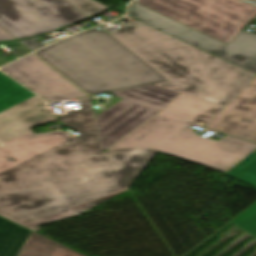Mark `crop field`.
<instances>
[{"label":"crop field","instance_id":"obj_12","mask_svg":"<svg viewBox=\"0 0 256 256\" xmlns=\"http://www.w3.org/2000/svg\"><path fill=\"white\" fill-rule=\"evenodd\" d=\"M29 233L30 230L0 217V256H17Z\"/></svg>","mask_w":256,"mask_h":256},{"label":"crop field","instance_id":"obj_2","mask_svg":"<svg viewBox=\"0 0 256 256\" xmlns=\"http://www.w3.org/2000/svg\"><path fill=\"white\" fill-rule=\"evenodd\" d=\"M109 35L169 80L154 85L220 107L256 77L138 21Z\"/></svg>","mask_w":256,"mask_h":256},{"label":"crop field","instance_id":"obj_17","mask_svg":"<svg viewBox=\"0 0 256 256\" xmlns=\"http://www.w3.org/2000/svg\"><path fill=\"white\" fill-rule=\"evenodd\" d=\"M19 42H21L24 46H26L31 51L44 46L37 42V38H32L26 41H19Z\"/></svg>","mask_w":256,"mask_h":256},{"label":"crop field","instance_id":"obj_1","mask_svg":"<svg viewBox=\"0 0 256 256\" xmlns=\"http://www.w3.org/2000/svg\"><path fill=\"white\" fill-rule=\"evenodd\" d=\"M58 116L79 137L28 127L55 121L45 102L0 72V216L28 229L79 214L74 205L126 189L154 149L102 153L90 97Z\"/></svg>","mask_w":256,"mask_h":256},{"label":"crop field","instance_id":"obj_5","mask_svg":"<svg viewBox=\"0 0 256 256\" xmlns=\"http://www.w3.org/2000/svg\"><path fill=\"white\" fill-rule=\"evenodd\" d=\"M135 3L227 44L255 15L240 0H136Z\"/></svg>","mask_w":256,"mask_h":256},{"label":"crop field","instance_id":"obj_4","mask_svg":"<svg viewBox=\"0 0 256 256\" xmlns=\"http://www.w3.org/2000/svg\"><path fill=\"white\" fill-rule=\"evenodd\" d=\"M35 54L90 95L167 80L105 31L96 28Z\"/></svg>","mask_w":256,"mask_h":256},{"label":"crop field","instance_id":"obj_10","mask_svg":"<svg viewBox=\"0 0 256 256\" xmlns=\"http://www.w3.org/2000/svg\"><path fill=\"white\" fill-rule=\"evenodd\" d=\"M205 128L256 142V78Z\"/></svg>","mask_w":256,"mask_h":256},{"label":"crop field","instance_id":"obj_16","mask_svg":"<svg viewBox=\"0 0 256 256\" xmlns=\"http://www.w3.org/2000/svg\"><path fill=\"white\" fill-rule=\"evenodd\" d=\"M115 194H117V193H115ZM115 194H112V195H109V196H106V197H103V198H99V199H96V200H93V201H89V202H86V203H83V204L76 205V208L81 213V212H83V211H85V210L95 206L96 204H98V203H100V202H102V201L112 197Z\"/></svg>","mask_w":256,"mask_h":256},{"label":"crop field","instance_id":"obj_19","mask_svg":"<svg viewBox=\"0 0 256 256\" xmlns=\"http://www.w3.org/2000/svg\"><path fill=\"white\" fill-rule=\"evenodd\" d=\"M249 1H252V2H255V3H256V0H249Z\"/></svg>","mask_w":256,"mask_h":256},{"label":"crop field","instance_id":"obj_7","mask_svg":"<svg viewBox=\"0 0 256 256\" xmlns=\"http://www.w3.org/2000/svg\"><path fill=\"white\" fill-rule=\"evenodd\" d=\"M87 19L65 0H0V28L15 39Z\"/></svg>","mask_w":256,"mask_h":256},{"label":"crop field","instance_id":"obj_6","mask_svg":"<svg viewBox=\"0 0 256 256\" xmlns=\"http://www.w3.org/2000/svg\"><path fill=\"white\" fill-rule=\"evenodd\" d=\"M110 93L122 100L95 117L102 151L160 111L178 95L153 85Z\"/></svg>","mask_w":256,"mask_h":256},{"label":"crop field","instance_id":"obj_18","mask_svg":"<svg viewBox=\"0 0 256 256\" xmlns=\"http://www.w3.org/2000/svg\"><path fill=\"white\" fill-rule=\"evenodd\" d=\"M8 39H14V38H12L6 32H4L2 29H0V40H8Z\"/></svg>","mask_w":256,"mask_h":256},{"label":"crop field","instance_id":"obj_8","mask_svg":"<svg viewBox=\"0 0 256 256\" xmlns=\"http://www.w3.org/2000/svg\"><path fill=\"white\" fill-rule=\"evenodd\" d=\"M147 9L132 2L127 16L256 74V34L240 31L224 45Z\"/></svg>","mask_w":256,"mask_h":256},{"label":"crop field","instance_id":"obj_9","mask_svg":"<svg viewBox=\"0 0 256 256\" xmlns=\"http://www.w3.org/2000/svg\"><path fill=\"white\" fill-rule=\"evenodd\" d=\"M1 70L49 102L87 96L32 54Z\"/></svg>","mask_w":256,"mask_h":256},{"label":"crop field","instance_id":"obj_3","mask_svg":"<svg viewBox=\"0 0 256 256\" xmlns=\"http://www.w3.org/2000/svg\"><path fill=\"white\" fill-rule=\"evenodd\" d=\"M222 108L179 94L163 110L105 151L120 148H154L219 172H226L256 145L223 137L221 140L196 136L191 126L208 123Z\"/></svg>","mask_w":256,"mask_h":256},{"label":"crop field","instance_id":"obj_14","mask_svg":"<svg viewBox=\"0 0 256 256\" xmlns=\"http://www.w3.org/2000/svg\"><path fill=\"white\" fill-rule=\"evenodd\" d=\"M88 18L96 13L109 9L93 0H66Z\"/></svg>","mask_w":256,"mask_h":256},{"label":"crop field","instance_id":"obj_15","mask_svg":"<svg viewBox=\"0 0 256 256\" xmlns=\"http://www.w3.org/2000/svg\"><path fill=\"white\" fill-rule=\"evenodd\" d=\"M235 223L245 228L252 234H256V203L233 219Z\"/></svg>","mask_w":256,"mask_h":256},{"label":"crop field","instance_id":"obj_13","mask_svg":"<svg viewBox=\"0 0 256 256\" xmlns=\"http://www.w3.org/2000/svg\"><path fill=\"white\" fill-rule=\"evenodd\" d=\"M226 175L256 187V152L231 169Z\"/></svg>","mask_w":256,"mask_h":256},{"label":"crop field","instance_id":"obj_11","mask_svg":"<svg viewBox=\"0 0 256 256\" xmlns=\"http://www.w3.org/2000/svg\"><path fill=\"white\" fill-rule=\"evenodd\" d=\"M18 256H85L31 231Z\"/></svg>","mask_w":256,"mask_h":256}]
</instances>
